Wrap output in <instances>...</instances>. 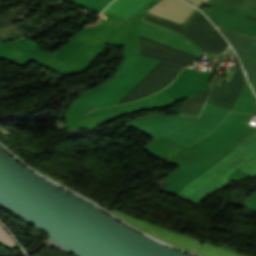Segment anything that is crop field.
Segmentation results:
<instances>
[{
    "label": "crop field",
    "instance_id": "1",
    "mask_svg": "<svg viewBox=\"0 0 256 256\" xmlns=\"http://www.w3.org/2000/svg\"><path fill=\"white\" fill-rule=\"evenodd\" d=\"M0 240L3 242L13 246L15 245L13 241L9 238V236L5 233V231L0 227Z\"/></svg>",
    "mask_w": 256,
    "mask_h": 256
}]
</instances>
